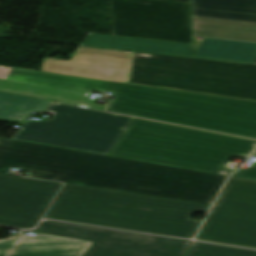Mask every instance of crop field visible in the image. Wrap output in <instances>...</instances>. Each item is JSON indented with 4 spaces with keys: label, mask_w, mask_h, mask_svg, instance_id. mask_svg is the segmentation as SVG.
<instances>
[{
    "label": "crop field",
    "mask_w": 256,
    "mask_h": 256,
    "mask_svg": "<svg viewBox=\"0 0 256 256\" xmlns=\"http://www.w3.org/2000/svg\"><path fill=\"white\" fill-rule=\"evenodd\" d=\"M10 166L31 172L32 178L208 204L225 179V176L0 138V173Z\"/></svg>",
    "instance_id": "1"
},
{
    "label": "crop field",
    "mask_w": 256,
    "mask_h": 256,
    "mask_svg": "<svg viewBox=\"0 0 256 256\" xmlns=\"http://www.w3.org/2000/svg\"><path fill=\"white\" fill-rule=\"evenodd\" d=\"M209 207L65 184L44 218L191 239Z\"/></svg>",
    "instance_id": "2"
},
{
    "label": "crop field",
    "mask_w": 256,
    "mask_h": 256,
    "mask_svg": "<svg viewBox=\"0 0 256 256\" xmlns=\"http://www.w3.org/2000/svg\"><path fill=\"white\" fill-rule=\"evenodd\" d=\"M108 111L256 139V102L112 82Z\"/></svg>",
    "instance_id": "3"
},
{
    "label": "crop field",
    "mask_w": 256,
    "mask_h": 256,
    "mask_svg": "<svg viewBox=\"0 0 256 256\" xmlns=\"http://www.w3.org/2000/svg\"><path fill=\"white\" fill-rule=\"evenodd\" d=\"M255 148L253 140L133 118L109 154L229 175L230 158Z\"/></svg>",
    "instance_id": "4"
},
{
    "label": "crop field",
    "mask_w": 256,
    "mask_h": 256,
    "mask_svg": "<svg viewBox=\"0 0 256 256\" xmlns=\"http://www.w3.org/2000/svg\"><path fill=\"white\" fill-rule=\"evenodd\" d=\"M129 83L256 100V65L135 52Z\"/></svg>",
    "instance_id": "5"
},
{
    "label": "crop field",
    "mask_w": 256,
    "mask_h": 256,
    "mask_svg": "<svg viewBox=\"0 0 256 256\" xmlns=\"http://www.w3.org/2000/svg\"><path fill=\"white\" fill-rule=\"evenodd\" d=\"M50 121L26 122L14 139L108 154L131 117L52 104Z\"/></svg>",
    "instance_id": "6"
},
{
    "label": "crop field",
    "mask_w": 256,
    "mask_h": 256,
    "mask_svg": "<svg viewBox=\"0 0 256 256\" xmlns=\"http://www.w3.org/2000/svg\"><path fill=\"white\" fill-rule=\"evenodd\" d=\"M113 34L191 44L190 4L162 0H110Z\"/></svg>",
    "instance_id": "7"
},
{
    "label": "crop field",
    "mask_w": 256,
    "mask_h": 256,
    "mask_svg": "<svg viewBox=\"0 0 256 256\" xmlns=\"http://www.w3.org/2000/svg\"><path fill=\"white\" fill-rule=\"evenodd\" d=\"M196 239L256 248V181L230 177Z\"/></svg>",
    "instance_id": "8"
},
{
    "label": "crop field",
    "mask_w": 256,
    "mask_h": 256,
    "mask_svg": "<svg viewBox=\"0 0 256 256\" xmlns=\"http://www.w3.org/2000/svg\"><path fill=\"white\" fill-rule=\"evenodd\" d=\"M36 232L95 241L84 256H183L192 242L55 221Z\"/></svg>",
    "instance_id": "9"
},
{
    "label": "crop field",
    "mask_w": 256,
    "mask_h": 256,
    "mask_svg": "<svg viewBox=\"0 0 256 256\" xmlns=\"http://www.w3.org/2000/svg\"><path fill=\"white\" fill-rule=\"evenodd\" d=\"M110 81L0 66V91L104 111L88 100L90 91L106 92Z\"/></svg>",
    "instance_id": "10"
},
{
    "label": "crop field",
    "mask_w": 256,
    "mask_h": 256,
    "mask_svg": "<svg viewBox=\"0 0 256 256\" xmlns=\"http://www.w3.org/2000/svg\"><path fill=\"white\" fill-rule=\"evenodd\" d=\"M194 35L256 42V0H191Z\"/></svg>",
    "instance_id": "11"
},
{
    "label": "crop field",
    "mask_w": 256,
    "mask_h": 256,
    "mask_svg": "<svg viewBox=\"0 0 256 256\" xmlns=\"http://www.w3.org/2000/svg\"><path fill=\"white\" fill-rule=\"evenodd\" d=\"M61 183L0 174V224L33 228Z\"/></svg>",
    "instance_id": "12"
},
{
    "label": "crop field",
    "mask_w": 256,
    "mask_h": 256,
    "mask_svg": "<svg viewBox=\"0 0 256 256\" xmlns=\"http://www.w3.org/2000/svg\"><path fill=\"white\" fill-rule=\"evenodd\" d=\"M133 54L79 47L70 61L43 58L42 71L128 83Z\"/></svg>",
    "instance_id": "13"
},
{
    "label": "crop field",
    "mask_w": 256,
    "mask_h": 256,
    "mask_svg": "<svg viewBox=\"0 0 256 256\" xmlns=\"http://www.w3.org/2000/svg\"><path fill=\"white\" fill-rule=\"evenodd\" d=\"M93 242L39 233L0 240V256H82Z\"/></svg>",
    "instance_id": "14"
},
{
    "label": "crop field",
    "mask_w": 256,
    "mask_h": 256,
    "mask_svg": "<svg viewBox=\"0 0 256 256\" xmlns=\"http://www.w3.org/2000/svg\"><path fill=\"white\" fill-rule=\"evenodd\" d=\"M81 45L194 57L193 45L88 33Z\"/></svg>",
    "instance_id": "15"
},
{
    "label": "crop field",
    "mask_w": 256,
    "mask_h": 256,
    "mask_svg": "<svg viewBox=\"0 0 256 256\" xmlns=\"http://www.w3.org/2000/svg\"><path fill=\"white\" fill-rule=\"evenodd\" d=\"M195 44L197 58L252 63L256 55L255 43L204 38Z\"/></svg>",
    "instance_id": "16"
},
{
    "label": "crop field",
    "mask_w": 256,
    "mask_h": 256,
    "mask_svg": "<svg viewBox=\"0 0 256 256\" xmlns=\"http://www.w3.org/2000/svg\"><path fill=\"white\" fill-rule=\"evenodd\" d=\"M49 103L0 92V120L23 123L32 112L44 111Z\"/></svg>",
    "instance_id": "17"
},
{
    "label": "crop field",
    "mask_w": 256,
    "mask_h": 256,
    "mask_svg": "<svg viewBox=\"0 0 256 256\" xmlns=\"http://www.w3.org/2000/svg\"><path fill=\"white\" fill-rule=\"evenodd\" d=\"M185 256H256V250L194 242Z\"/></svg>",
    "instance_id": "18"
},
{
    "label": "crop field",
    "mask_w": 256,
    "mask_h": 256,
    "mask_svg": "<svg viewBox=\"0 0 256 256\" xmlns=\"http://www.w3.org/2000/svg\"><path fill=\"white\" fill-rule=\"evenodd\" d=\"M252 155L256 156V151ZM233 176L256 179V166L247 169L239 168Z\"/></svg>",
    "instance_id": "19"
},
{
    "label": "crop field",
    "mask_w": 256,
    "mask_h": 256,
    "mask_svg": "<svg viewBox=\"0 0 256 256\" xmlns=\"http://www.w3.org/2000/svg\"><path fill=\"white\" fill-rule=\"evenodd\" d=\"M253 63H256V57H255V60H254V62Z\"/></svg>",
    "instance_id": "20"
}]
</instances>
